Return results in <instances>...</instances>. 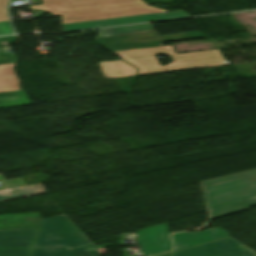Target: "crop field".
Wrapping results in <instances>:
<instances>
[{
    "label": "crop field",
    "instance_id": "obj_1",
    "mask_svg": "<svg viewBox=\"0 0 256 256\" xmlns=\"http://www.w3.org/2000/svg\"><path fill=\"white\" fill-rule=\"evenodd\" d=\"M43 5L31 6L62 16V24L116 17L167 12L150 7L142 0H42Z\"/></svg>",
    "mask_w": 256,
    "mask_h": 256
},
{
    "label": "crop field",
    "instance_id": "obj_2",
    "mask_svg": "<svg viewBox=\"0 0 256 256\" xmlns=\"http://www.w3.org/2000/svg\"><path fill=\"white\" fill-rule=\"evenodd\" d=\"M210 219L256 205V169L199 182Z\"/></svg>",
    "mask_w": 256,
    "mask_h": 256
},
{
    "label": "crop field",
    "instance_id": "obj_3",
    "mask_svg": "<svg viewBox=\"0 0 256 256\" xmlns=\"http://www.w3.org/2000/svg\"><path fill=\"white\" fill-rule=\"evenodd\" d=\"M139 68L137 75L228 65L219 50L176 54L171 45L113 52ZM165 53L173 62L159 64L154 54Z\"/></svg>",
    "mask_w": 256,
    "mask_h": 256
},
{
    "label": "crop field",
    "instance_id": "obj_4",
    "mask_svg": "<svg viewBox=\"0 0 256 256\" xmlns=\"http://www.w3.org/2000/svg\"><path fill=\"white\" fill-rule=\"evenodd\" d=\"M90 243L86 236L63 215L43 219L34 247L67 246Z\"/></svg>",
    "mask_w": 256,
    "mask_h": 256
},
{
    "label": "crop field",
    "instance_id": "obj_5",
    "mask_svg": "<svg viewBox=\"0 0 256 256\" xmlns=\"http://www.w3.org/2000/svg\"><path fill=\"white\" fill-rule=\"evenodd\" d=\"M202 37L199 31L157 37L154 31L96 38L110 51L162 45L161 42Z\"/></svg>",
    "mask_w": 256,
    "mask_h": 256
},
{
    "label": "crop field",
    "instance_id": "obj_6",
    "mask_svg": "<svg viewBox=\"0 0 256 256\" xmlns=\"http://www.w3.org/2000/svg\"><path fill=\"white\" fill-rule=\"evenodd\" d=\"M172 256H256L232 237L172 252Z\"/></svg>",
    "mask_w": 256,
    "mask_h": 256
},
{
    "label": "crop field",
    "instance_id": "obj_7",
    "mask_svg": "<svg viewBox=\"0 0 256 256\" xmlns=\"http://www.w3.org/2000/svg\"><path fill=\"white\" fill-rule=\"evenodd\" d=\"M137 234L139 245L144 256H150L171 250L167 223L137 231Z\"/></svg>",
    "mask_w": 256,
    "mask_h": 256
},
{
    "label": "crop field",
    "instance_id": "obj_8",
    "mask_svg": "<svg viewBox=\"0 0 256 256\" xmlns=\"http://www.w3.org/2000/svg\"><path fill=\"white\" fill-rule=\"evenodd\" d=\"M185 16H188V15L183 10H180V11L159 13V14H150V15H142V16L117 18V19H108V20H100V21L66 24V25H62V28H63V31H67V30L101 27V26H109V25H118V24L160 20V19H168V18H177V17H185Z\"/></svg>",
    "mask_w": 256,
    "mask_h": 256
},
{
    "label": "crop field",
    "instance_id": "obj_9",
    "mask_svg": "<svg viewBox=\"0 0 256 256\" xmlns=\"http://www.w3.org/2000/svg\"><path fill=\"white\" fill-rule=\"evenodd\" d=\"M228 236L225 230L216 227L196 233H175L172 234V239L174 241L175 251Z\"/></svg>",
    "mask_w": 256,
    "mask_h": 256
},
{
    "label": "crop field",
    "instance_id": "obj_10",
    "mask_svg": "<svg viewBox=\"0 0 256 256\" xmlns=\"http://www.w3.org/2000/svg\"><path fill=\"white\" fill-rule=\"evenodd\" d=\"M39 229L0 231V249L33 248Z\"/></svg>",
    "mask_w": 256,
    "mask_h": 256
},
{
    "label": "crop field",
    "instance_id": "obj_11",
    "mask_svg": "<svg viewBox=\"0 0 256 256\" xmlns=\"http://www.w3.org/2000/svg\"><path fill=\"white\" fill-rule=\"evenodd\" d=\"M100 69L105 79L132 76L136 74L137 69L128 65L122 60L99 62Z\"/></svg>",
    "mask_w": 256,
    "mask_h": 256
},
{
    "label": "crop field",
    "instance_id": "obj_12",
    "mask_svg": "<svg viewBox=\"0 0 256 256\" xmlns=\"http://www.w3.org/2000/svg\"><path fill=\"white\" fill-rule=\"evenodd\" d=\"M46 192L41 183L0 191V201Z\"/></svg>",
    "mask_w": 256,
    "mask_h": 256
},
{
    "label": "crop field",
    "instance_id": "obj_13",
    "mask_svg": "<svg viewBox=\"0 0 256 256\" xmlns=\"http://www.w3.org/2000/svg\"><path fill=\"white\" fill-rule=\"evenodd\" d=\"M31 104L25 91L0 94V108L16 107Z\"/></svg>",
    "mask_w": 256,
    "mask_h": 256
},
{
    "label": "crop field",
    "instance_id": "obj_14",
    "mask_svg": "<svg viewBox=\"0 0 256 256\" xmlns=\"http://www.w3.org/2000/svg\"><path fill=\"white\" fill-rule=\"evenodd\" d=\"M153 30L150 24L100 29L97 37Z\"/></svg>",
    "mask_w": 256,
    "mask_h": 256
},
{
    "label": "crop field",
    "instance_id": "obj_15",
    "mask_svg": "<svg viewBox=\"0 0 256 256\" xmlns=\"http://www.w3.org/2000/svg\"><path fill=\"white\" fill-rule=\"evenodd\" d=\"M70 252L67 247L33 248L32 256H75Z\"/></svg>",
    "mask_w": 256,
    "mask_h": 256
},
{
    "label": "crop field",
    "instance_id": "obj_16",
    "mask_svg": "<svg viewBox=\"0 0 256 256\" xmlns=\"http://www.w3.org/2000/svg\"><path fill=\"white\" fill-rule=\"evenodd\" d=\"M31 249L0 250V256H30Z\"/></svg>",
    "mask_w": 256,
    "mask_h": 256
},
{
    "label": "crop field",
    "instance_id": "obj_17",
    "mask_svg": "<svg viewBox=\"0 0 256 256\" xmlns=\"http://www.w3.org/2000/svg\"><path fill=\"white\" fill-rule=\"evenodd\" d=\"M1 183L3 184L4 187L0 188V190L25 185L21 178L11 179L7 181H3Z\"/></svg>",
    "mask_w": 256,
    "mask_h": 256
},
{
    "label": "crop field",
    "instance_id": "obj_18",
    "mask_svg": "<svg viewBox=\"0 0 256 256\" xmlns=\"http://www.w3.org/2000/svg\"><path fill=\"white\" fill-rule=\"evenodd\" d=\"M74 254L76 256H99L100 255L97 249L75 252Z\"/></svg>",
    "mask_w": 256,
    "mask_h": 256
},
{
    "label": "crop field",
    "instance_id": "obj_19",
    "mask_svg": "<svg viewBox=\"0 0 256 256\" xmlns=\"http://www.w3.org/2000/svg\"><path fill=\"white\" fill-rule=\"evenodd\" d=\"M13 33L7 22L0 23V35H6Z\"/></svg>",
    "mask_w": 256,
    "mask_h": 256
},
{
    "label": "crop field",
    "instance_id": "obj_20",
    "mask_svg": "<svg viewBox=\"0 0 256 256\" xmlns=\"http://www.w3.org/2000/svg\"><path fill=\"white\" fill-rule=\"evenodd\" d=\"M92 248H96V246L94 244H88V245H85V246H82V247L72 248V249H69V250L71 252H74V251H80V250H86V249H92Z\"/></svg>",
    "mask_w": 256,
    "mask_h": 256
},
{
    "label": "crop field",
    "instance_id": "obj_21",
    "mask_svg": "<svg viewBox=\"0 0 256 256\" xmlns=\"http://www.w3.org/2000/svg\"><path fill=\"white\" fill-rule=\"evenodd\" d=\"M159 256H171V253H167V254H163V255H159Z\"/></svg>",
    "mask_w": 256,
    "mask_h": 256
},
{
    "label": "crop field",
    "instance_id": "obj_22",
    "mask_svg": "<svg viewBox=\"0 0 256 256\" xmlns=\"http://www.w3.org/2000/svg\"><path fill=\"white\" fill-rule=\"evenodd\" d=\"M3 180H5V179H4L3 176L0 174V181H3Z\"/></svg>",
    "mask_w": 256,
    "mask_h": 256
}]
</instances>
